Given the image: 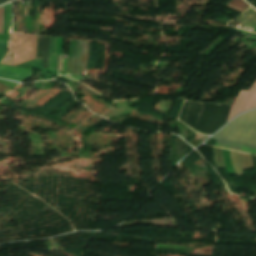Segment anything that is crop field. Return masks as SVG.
Masks as SVG:
<instances>
[{
  "instance_id": "crop-field-1",
  "label": "crop field",
  "mask_w": 256,
  "mask_h": 256,
  "mask_svg": "<svg viewBox=\"0 0 256 256\" xmlns=\"http://www.w3.org/2000/svg\"><path fill=\"white\" fill-rule=\"evenodd\" d=\"M213 138L218 140L216 147L255 154L256 110L238 116Z\"/></svg>"
},
{
  "instance_id": "crop-field-2",
  "label": "crop field",
  "mask_w": 256,
  "mask_h": 256,
  "mask_svg": "<svg viewBox=\"0 0 256 256\" xmlns=\"http://www.w3.org/2000/svg\"><path fill=\"white\" fill-rule=\"evenodd\" d=\"M36 36L12 33L10 53L12 65H18L34 59Z\"/></svg>"
},
{
  "instance_id": "crop-field-3",
  "label": "crop field",
  "mask_w": 256,
  "mask_h": 256,
  "mask_svg": "<svg viewBox=\"0 0 256 256\" xmlns=\"http://www.w3.org/2000/svg\"><path fill=\"white\" fill-rule=\"evenodd\" d=\"M254 107H256V81L249 91H240L233 104L228 121L239 113Z\"/></svg>"
},
{
  "instance_id": "crop-field-4",
  "label": "crop field",
  "mask_w": 256,
  "mask_h": 256,
  "mask_svg": "<svg viewBox=\"0 0 256 256\" xmlns=\"http://www.w3.org/2000/svg\"><path fill=\"white\" fill-rule=\"evenodd\" d=\"M0 77L10 79L18 82H22L30 77L32 73L29 70L20 69L16 67H10L0 64Z\"/></svg>"
},
{
  "instance_id": "crop-field-5",
  "label": "crop field",
  "mask_w": 256,
  "mask_h": 256,
  "mask_svg": "<svg viewBox=\"0 0 256 256\" xmlns=\"http://www.w3.org/2000/svg\"><path fill=\"white\" fill-rule=\"evenodd\" d=\"M236 20L256 26V12L254 10H252L251 8H249V10L247 12L243 13ZM255 32H256V30H255Z\"/></svg>"
},
{
  "instance_id": "crop-field-6",
  "label": "crop field",
  "mask_w": 256,
  "mask_h": 256,
  "mask_svg": "<svg viewBox=\"0 0 256 256\" xmlns=\"http://www.w3.org/2000/svg\"><path fill=\"white\" fill-rule=\"evenodd\" d=\"M8 44H9V42L0 40V62L3 58V55L6 51Z\"/></svg>"
},
{
  "instance_id": "crop-field-7",
  "label": "crop field",
  "mask_w": 256,
  "mask_h": 256,
  "mask_svg": "<svg viewBox=\"0 0 256 256\" xmlns=\"http://www.w3.org/2000/svg\"><path fill=\"white\" fill-rule=\"evenodd\" d=\"M0 33L3 34V7L0 8Z\"/></svg>"
}]
</instances>
